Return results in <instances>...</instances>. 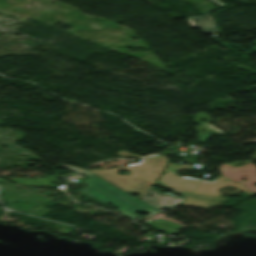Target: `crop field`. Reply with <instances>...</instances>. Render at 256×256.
I'll return each instance as SVG.
<instances>
[{
    "label": "crop field",
    "instance_id": "crop-field-3",
    "mask_svg": "<svg viewBox=\"0 0 256 256\" xmlns=\"http://www.w3.org/2000/svg\"><path fill=\"white\" fill-rule=\"evenodd\" d=\"M210 183H214V182H210ZM181 205L192 206V207L201 208V209H209L210 207H213V206H218V205L223 206L225 204L212 203V202H206L202 200L187 198L185 201L182 202Z\"/></svg>",
    "mask_w": 256,
    "mask_h": 256
},
{
    "label": "crop field",
    "instance_id": "crop-field-4",
    "mask_svg": "<svg viewBox=\"0 0 256 256\" xmlns=\"http://www.w3.org/2000/svg\"><path fill=\"white\" fill-rule=\"evenodd\" d=\"M153 226L155 229L159 230V231H162L164 233H168V234H173L174 231H172V229L168 228V227H165L157 222H153Z\"/></svg>",
    "mask_w": 256,
    "mask_h": 256
},
{
    "label": "crop field",
    "instance_id": "crop-field-6",
    "mask_svg": "<svg viewBox=\"0 0 256 256\" xmlns=\"http://www.w3.org/2000/svg\"><path fill=\"white\" fill-rule=\"evenodd\" d=\"M59 166H62V167H66V168H69L77 173H79L80 171H82V169H79V168H76V167H70V166H66V165H59Z\"/></svg>",
    "mask_w": 256,
    "mask_h": 256
},
{
    "label": "crop field",
    "instance_id": "crop-field-1",
    "mask_svg": "<svg viewBox=\"0 0 256 256\" xmlns=\"http://www.w3.org/2000/svg\"><path fill=\"white\" fill-rule=\"evenodd\" d=\"M84 174L90 177L83 182L89 184V186L81 190V192L103 203H109L115 206L122 214L134 219L138 217L135 213L147 212L154 215L158 212L111 186L93 174L89 172Z\"/></svg>",
    "mask_w": 256,
    "mask_h": 256
},
{
    "label": "crop field",
    "instance_id": "crop-field-7",
    "mask_svg": "<svg viewBox=\"0 0 256 256\" xmlns=\"http://www.w3.org/2000/svg\"><path fill=\"white\" fill-rule=\"evenodd\" d=\"M201 128H202V129H211V130L219 131V130L213 128L212 126H210V125H208V124L201 126ZM219 132H221V131H219Z\"/></svg>",
    "mask_w": 256,
    "mask_h": 256
},
{
    "label": "crop field",
    "instance_id": "crop-field-2",
    "mask_svg": "<svg viewBox=\"0 0 256 256\" xmlns=\"http://www.w3.org/2000/svg\"><path fill=\"white\" fill-rule=\"evenodd\" d=\"M53 180H55L54 177H48V178H42V179H36V180H26V179L15 178V179H12L11 181L21 185L55 188L57 185L49 184V182Z\"/></svg>",
    "mask_w": 256,
    "mask_h": 256
},
{
    "label": "crop field",
    "instance_id": "crop-field-5",
    "mask_svg": "<svg viewBox=\"0 0 256 256\" xmlns=\"http://www.w3.org/2000/svg\"><path fill=\"white\" fill-rule=\"evenodd\" d=\"M157 220L160 221V222H162V223H164V224H167V225H169V226H171V227H173V228H175V229H177V228L180 227L179 225H176V224L172 225L171 222H168V221H162V220H160V219H157Z\"/></svg>",
    "mask_w": 256,
    "mask_h": 256
}]
</instances>
